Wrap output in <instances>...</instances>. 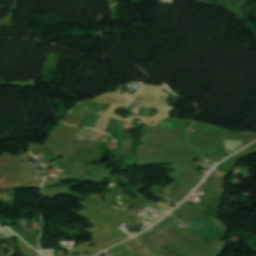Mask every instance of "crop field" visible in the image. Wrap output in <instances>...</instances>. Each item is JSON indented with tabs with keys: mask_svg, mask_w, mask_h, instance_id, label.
<instances>
[{
	"mask_svg": "<svg viewBox=\"0 0 256 256\" xmlns=\"http://www.w3.org/2000/svg\"><path fill=\"white\" fill-rule=\"evenodd\" d=\"M190 223L192 224L190 228L197 232L206 241L225 233L208 217H198L190 221Z\"/></svg>",
	"mask_w": 256,
	"mask_h": 256,
	"instance_id": "obj_1",
	"label": "crop field"
},
{
	"mask_svg": "<svg viewBox=\"0 0 256 256\" xmlns=\"http://www.w3.org/2000/svg\"><path fill=\"white\" fill-rule=\"evenodd\" d=\"M194 122L192 121H185V120H176V119H167L164 118L158 125L159 127H168V128H177V129H185L187 130L188 127Z\"/></svg>",
	"mask_w": 256,
	"mask_h": 256,
	"instance_id": "obj_2",
	"label": "crop field"
},
{
	"mask_svg": "<svg viewBox=\"0 0 256 256\" xmlns=\"http://www.w3.org/2000/svg\"><path fill=\"white\" fill-rule=\"evenodd\" d=\"M102 133L81 128L76 141H91L101 137Z\"/></svg>",
	"mask_w": 256,
	"mask_h": 256,
	"instance_id": "obj_3",
	"label": "crop field"
},
{
	"mask_svg": "<svg viewBox=\"0 0 256 256\" xmlns=\"http://www.w3.org/2000/svg\"><path fill=\"white\" fill-rule=\"evenodd\" d=\"M161 87L143 84L138 93L159 96Z\"/></svg>",
	"mask_w": 256,
	"mask_h": 256,
	"instance_id": "obj_4",
	"label": "crop field"
},
{
	"mask_svg": "<svg viewBox=\"0 0 256 256\" xmlns=\"http://www.w3.org/2000/svg\"><path fill=\"white\" fill-rule=\"evenodd\" d=\"M108 121H109L108 118H104V117L101 116L97 125H96V127H95V129L103 132L107 123H108ZM131 125L132 124L126 122L123 129H129L131 127Z\"/></svg>",
	"mask_w": 256,
	"mask_h": 256,
	"instance_id": "obj_5",
	"label": "crop field"
},
{
	"mask_svg": "<svg viewBox=\"0 0 256 256\" xmlns=\"http://www.w3.org/2000/svg\"><path fill=\"white\" fill-rule=\"evenodd\" d=\"M192 127L204 129V130H207V131H213V130H216V129H221V128H217V127H214V126H211V125L199 123V122L193 124Z\"/></svg>",
	"mask_w": 256,
	"mask_h": 256,
	"instance_id": "obj_6",
	"label": "crop field"
},
{
	"mask_svg": "<svg viewBox=\"0 0 256 256\" xmlns=\"http://www.w3.org/2000/svg\"><path fill=\"white\" fill-rule=\"evenodd\" d=\"M137 158H135V160H124V164L123 167H133L135 164H125V161H136ZM137 164V163H136Z\"/></svg>",
	"mask_w": 256,
	"mask_h": 256,
	"instance_id": "obj_7",
	"label": "crop field"
}]
</instances>
